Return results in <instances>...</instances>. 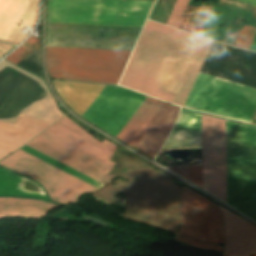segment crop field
<instances>
[{"instance_id":"crop-field-6","label":"crop field","mask_w":256,"mask_h":256,"mask_svg":"<svg viewBox=\"0 0 256 256\" xmlns=\"http://www.w3.org/2000/svg\"><path fill=\"white\" fill-rule=\"evenodd\" d=\"M132 51L47 47L54 78L116 84Z\"/></svg>"},{"instance_id":"crop-field-17","label":"crop field","mask_w":256,"mask_h":256,"mask_svg":"<svg viewBox=\"0 0 256 256\" xmlns=\"http://www.w3.org/2000/svg\"><path fill=\"white\" fill-rule=\"evenodd\" d=\"M18 180H25L31 183L35 187V191L32 193H21L16 186ZM0 195H11V196H25L40 199H48L45 191L33 181L11 173L7 170L0 168Z\"/></svg>"},{"instance_id":"crop-field-27","label":"crop field","mask_w":256,"mask_h":256,"mask_svg":"<svg viewBox=\"0 0 256 256\" xmlns=\"http://www.w3.org/2000/svg\"><path fill=\"white\" fill-rule=\"evenodd\" d=\"M239 29H235L230 27L225 39H224V43L229 44V45H233L237 35H238Z\"/></svg>"},{"instance_id":"crop-field-2","label":"crop field","mask_w":256,"mask_h":256,"mask_svg":"<svg viewBox=\"0 0 256 256\" xmlns=\"http://www.w3.org/2000/svg\"><path fill=\"white\" fill-rule=\"evenodd\" d=\"M212 42L148 20L120 84L182 107Z\"/></svg>"},{"instance_id":"crop-field-7","label":"crop field","mask_w":256,"mask_h":256,"mask_svg":"<svg viewBox=\"0 0 256 256\" xmlns=\"http://www.w3.org/2000/svg\"><path fill=\"white\" fill-rule=\"evenodd\" d=\"M200 73L183 107L251 122L256 111V89Z\"/></svg>"},{"instance_id":"crop-field-9","label":"crop field","mask_w":256,"mask_h":256,"mask_svg":"<svg viewBox=\"0 0 256 256\" xmlns=\"http://www.w3.org/2000/svg\"><path fill=\"white\" fill-rule=\"evenodd\" d=\"M0 164L25 176L32 175L33 180L45 187L51 199L61 204L74 203L79 195L98 190L20 150Z\"/></svg>"},{"instance_id":"crop-field-33","label":"crop field","mask_w":256,"mask_h":256,"mask_svg":"<svg viewBox=\"0 0 256 256\" xmlns=\"http://www.w3.org/2000/svg\"><path fill=\"white\" fill-rule=\"evenodd\" d=\"M242 1H244L246 3L251 2L253 5L256 6V0H242Z\"/></svg>"},{"instance_id":"crop-field-28","label":"crop field","mask_w":256,"mask_h":256,"mask_svg":"<svg viewBox=\"0 0 256 256\" xmlns=\"http://www.w3.org/2000/svg\"><path fill=\"white\" fill-rule=\"evenodd\" d=\"M172 171H174L175 173L181 175L182 177L188 179V166H183V167H171L168 168Z\"/></svg>"},{"instance_id":"crop-field-1","label":"crop field","mask_w":256,"mask_h":256,"mask_svg":"<svg viewBox=\"0 0 256 256\" xmlns=\"http://www.w3.org/2000/svg\"><path fill=\"white\" fill-rule=\"evenodd\" d=\"M52 83L63 101L80 117L105 86L58 80H52ZM145 98L126 89L106 85L82 118L116 137ZM161 104L147 97L116 138L131 146ZM178 111V108L163 103L132 147L135 145L155 156L174 125Z\"/></svg>"},{"instance_id":"crop-field-18","label":"crop field","mask_w":256,"mask_h":256,"mask_svg":"<svg viewBox=\"0 0 256 256\" xmlns=\"http://www.w3.org/2000/svg\"><path fill=\"white\" fill-rule=\"evenodd\" d=\"M212 7L213 6H189L178 28L199 35Z\"/></svg>"},{"instance_id":"crop-field-16","label":"crop field","mask_w":256,"mask_h":256,"mask_svg":"<svg viewBox=\"0 0 256 256\" xmlns=\"http://www.w3.org/2000/svg\"><path fill=\"white\" fill-rule=\"evenodd\" d=\"M57 206V204L25 198H0V218L11 216L39 218Z\"/></svg>"},{"instance_id":"crop-field-13","label":"crop field","mask_w":256,"mask_h":256,"mask_svg":"<svg viewBox=\"0 0 256 256\" xmlns=\"http://www.w3.org/2000/svg\"><path fill=\"white\" fill-rule=\"evenodd\" d=\"M224 217L225 247L222 256L256 255V227L220 207Z\"/></svg>"},{"instance_id":"crop-field-30","label":"crop field","mask_w":256,"mask_h":256,"mask_svg":"<svg viewBox=\"0 0 256 256\" xmlns=\"http://www.w3.org/2000/svg\"><path fill=\"white\" fill-rule=\"evenodd\" d=\"M248 49L256 51V33Z\"/></svg>"},{"instance_id":"crop-field-8","label":"crop field","mask_w":256,"mask_h":256,"mask_svg":"<svg viewBox=\"0 0 256 256\" xmlns=\"http://www.w3.org/2000/svg\"><path fill=\"white\" fill-rule=\"evenodd\" d=\"M141 29L47 23V46L132 50Z\"/></svg>"},{"instance_id":"crop-field-24","label":"crop field","mask_w":256,"mask_h":256,"mask_svg":"<svg viewBox=\"0 0 256 256\" xmlns=\"http://www.w3.org/2000/svg\"><path fill=\"white\" fill-rule=\"evenodd\" d=\"M174 239H178L184 243H187L189 245L195 246L199 249H204V250H211V251H219L222 252L223 251V247L221 246H217V245H213V244H209V243H203V242H197V241H193L190 239H186L183 237H179L176 236Z\"/></svg>"},{"instance_id":"crop-field-32","label":"crop field","mask_w":256,"mask_h":256,"mask_svg":"<svg viewBox=\"0 0 256 256\" xmlns=\"http://www.w3.org/2000/svg\"><path fill=\"white\" fill-rule=\"evenodd\" d=\"M7 52H8V50H5V49L0 48V58H1L5 53H7Z\"/></svg>"},{"instance_id":"crop-field-25","label":"crop field","mask_w":256,"mask_h":256,"mask_svg":"<svg viewBox=\"0 0 256 256\" xmlns=\"http://www.w3.org/2000/svg\"><path fill=\"white\" fill-rule=\"evenodd\" d=\"M189 181L202 187L201 163L189 166Z\"/></svg>"},{"instance_id":"crop-field-4","label":"crop field","mask_w":256,"mask_h":256,"mask_svg":"<svg viewBox=\"0 0 256 256\" xmlns=\"http://www.w3.org/2000/svg\"><path fill=\"white\" fill-rule=\"evenodd\" d=\"M227 204L256 221V127L226 120Z\"/></svg>"},{"instance_id":"crop-field-15","label":"crop field","mask_w":256,"mask_h":256,"mask_svg":"<svg viewBox=\"0 0 256 256\" xmlns=\"http://www.w3.org/2000/svg\"><path fill=\"white\" fill-rule=\"evenodd\" d=\"M164 148H201V114L182 109Z\"/></svg>"},{"instance_id":"crop-field-29","label":"crop field","mask_w":256,"mask_h":256,"mask_svg":"<svg viewBox=\"0 0 256 256\" xmlns=\"http://www.w3.org/2000/svg\"><path fill=\"white\" fill-rule=\"evenodd\" d=\"M23 44H25V45H27V46H29V47L39 51V40H37V39H35V38L31 37V36Z\"/></svg>"},{"instance_id":"crop-field-21","label":"crop field","mask_w":256,"mask_h":256,"mask_svg":"<svg viewBox=\"0 0 256 256\" xmlns=\"http://www.w3.org/2000/svg\"><path fill=\"white\" fill-rule=\"evenodd\" d=\"M16 65L42 77L40 68V53L33 50Z\"/></svg>"},{"instance_id":"crop-field-11","label":"crop field","mask_w":256,"mask_h":256,"mask_svg":"<svg viewBox=\"0 0 256 256\" xmlns=\"http://www.w3.org/2000/svg\"><path fill=\"white\" fill-rule=\"evenodd\" d=\"M26 145L103 184L115 177L107 175L114 165L46 131Z\"/></svg>"},{"instance_id":"crop-field-26","label":"crop field","mask_w":256,"mask_h":256,"mask_svg":"<svg viewBox=\"0 0 256 256\" xmlns=\"http://www.w3.org/2000/svg\"><path fill=\"white\" fill-rule=\"evenodd\" d=\"M30 51H32V49H30L24 45H21L15 51H13L9 56H7L5 59L16 64L24 56H26Z\"/></svg>"},{"instance_id":"crop-field-22","label":"crop field","mask_w":256,"mask_h":256,"mask_svg":"<svg viewBox=\"0 0 256 256\" xmlns=\"http://www.w3.org/2000/svg\"><path fill=\"white\" fill-rule=\"evenodd\" d=\"M255 31L256 27L244 23L233 46L247 49Z\"/></svg>"},{"instance_id":"crop-field-14","label":"crop field","mask_w":256,"mask_h":256,"mask_svg":"<svg viewBox=\"0 0 256 256\" xmlns=\"http://www.w3.org/2000/svg\"><path fill=\"white\" fill-rule=\"evenodd\" d=\"M46 131L106 161H108L109 158L112 156L117 146L106 139L101 143L98 142L84 130L76 126L67 116ZM110 163L115 164L113 162Z\"/></svg>"},{"instance_id":"crop-field-5","label":"crop field","mask_w":256,"mask_h":256,"mask_svg":"<svg viewBox=\"0 0 256 256\" xmlns=\"http://www.w3.org/2000/svg\"><path fill=\"white\" fill-rule=\"evenodd\" d=\"M153 2L48 0L47 22L142 27Z\"/></svg>"},{"instance_id":"crop-field-19","label":"crop field","mask_w":256,"mask_h":256,"mask_svg":"<svg viewBox=\"0 0 256 256\" xmlns=\"http://www.w3.org/2000/svg\"><path fill=\"white\" fill-rule=\"evenodd\" d=\"M20 149H22V150H24V151H26V152L34 155V156H36V157L46 161L47 163H49V164H51V165H53V166H55V167L65 171V172L71 174L72 176H74V177H76V178H78V179H80V180H82V181H84V182H86V183L96 187V188H99L100 186L103 185V184H101V183H99V182H97V181H95V180H93V179H91V178H89V177H87V176H85V175H83V174H81V173H79V172H77V171H75V170L65 166L64 164H62V163H60V162H58V161H56V160H54V159H52L50 157H48V156L38 152V151H36V150L26 146V145L23 146Z\"/></svg>"},{"instance_id":"crop-field-12","label":"crop field","mask_w":256,"mask_h":256,"mask_svg":"<svg viewBox=\"0 0 256 256\" xmlns=\"http://www.w3.org/2000/svg\"><path fill=\"white\" fill-rule=\"evenodd\" d=\"M37 3L38 0H0V39L17 45L26 36L19 33L23 26L33 27L35 23Z\"/></svg>"},{"instance_id":"crop-field-20","label":"crop field","mask_w":256,"mask_h":256,"mask_svg":"<svg viewBox=\"0 0 256 256\" xmlns=\"http://www.w3.org/2000/svg\"><path fill=\"white\" fill-rule=\"evenodd\" d=\"M176 0H157L149 19L166 23Z\"/></svg>"},{"instance_id":"crop-field-23","label":"crop field","mask_w":256,"mask_h":256,"mask_svg":"<svg viewBox=\"0 0 256 256\" xmlns=\"http://www.w3.org/2000/svg\"><path fill=\"white\" fill-rule=\"evenodd\" d=\"M189 2L190 0H177L166 24L177 28Z\"/></svg>"},{"instance_id":"crop-field-31","label":"crop field","mask_w":256,"mask_h":256,"mask_svg":"<svg viewBox=\"0 0 256 256\" xmlns=\"http://www.w3.org/2000/svg\"><path fill=\"white\" fill-rule=\"evenodd\" d=\"M0 47L5 48V49H8V50L14 48L13 46H10V45L5 44V43H2V42H0Z\"/></svg>"},{"instance_id":"crop-field-10","label":"crop field","mask_w":256,"mask_h":256,"mask_svg":"<svg viewBox=\"0 0 256 256\" xmlns=\"http://www.w3.org/2000/svg\"><path fill=\"white\" fill-rule=\"evenodd\" d=\"M203 189L226 202L225 120L202 114Z\"/></svg>"},{"instance_id":"crop-field-3","label":"crop field","mask_w":256,"mask_h":256,"mask_svg":"<svg viewBox=\"0 0 256 256\" xmlns=\"http://www.w3.org/2000/svg\"><path fill=\"white\" fill-rule=\"evenodd\" d=\"M131 179L132 184L126 185V188L109 183L95 196L109 202L113 194L120 190L128 198L126 218L174 232L181 220L180 188L167 179ZM196 194L183 186V226L179 235L223 243V220L218 207Z\"/></svg>"}]
</instances>
